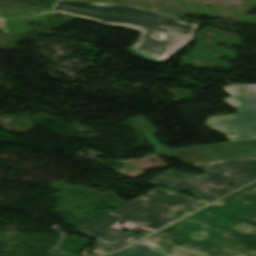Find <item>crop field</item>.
Segmentation results:
<instances>
[{"label": "crop field", "instance_id": "obj_2", "mask_svg": "<svg viewBox=\"0 0 256 256\" xmlns=\"http://www.w3.org/2000/svg\"><path fill=\"white\" fill-rule=\"evenodd\" d=\"M56 11L141 29L144 35L131 50L154 61L167 58L191 38L196 27V24L182 23L173 16L129 5L95 4L75 0H57L52 11L3 16L8 34L11 35L27 31L26 22L43 21L45 16ZM152 33L160 35L161 39H157Z\"/></svg>", "mask_w": 256, "mask_h": 256}, {"label": "crop field", "instance_id": "obj_8", "mask_svg": "<svg viewBox=\"0 0 256 256\" xmlns=\"http://www.w3.org/2000/svg\"><path fill=\"white\" fill-rule=\"evenodd\" d=\"M103 256H165L144 242H137L117 253Z\"/></svg>", "mask_w": 256, "mask_h": 256}, {"label": "crop field", "instance_id": "obj_4", "mask_svg": "<svg viewBox=\"0 0 256 256\" xmlns=\"http://www.w3.org/2000/svg\"><path fill=\"white\" fill-rule=\"evenodd\" d=\"M191 165L207 171L195 176L170 170L149 183L178 193L187 190L209 203L256 179V157Z\"/></svg>", "mask_w": 256, "mask_h": 256}, {"label": "crop field", "instance_id": "obj_3", "mask_svg": "<svg viewBox=\"0 0 256 256\" xmlns=\"http://www.w3.org/2000/svg\"><path fill=\"white\" fill-rule=\"evenodd\" d=\"M202 205L204 204L156 188L76 231L97 239L94 246L112 252L139 239V237L108 229L118 219L122 218L135 224L157 229L176 220L167 217L168 214L180 208L190 212Z\"/></svg>", "mask_w": 256, "mask_h": 256}, {"label": "crop field", "instance_id": "obj_7", "mask_svg": "<svg viewBox=\"0 0 256 256\" xmlns=\"http://www.w3.org/2000/svg\"><path fill=\"white\" fill-rule=\"evenodd\" d=\"M216 161L256 156V139L206 146Z\"/></svg>", "mask_w": 256, "mask_h": 256}, {"label": "crop field", "instance_id": "obj_1", "mask_svg": "<svg viewBox=\"0 0 256 256\" xmlns=\"http://www.w3.org/2000/svg\"><path fill=\"white\" fill-rule=\"evenodd\" d=\"M142 241L167 256H256V182Z\"/></svg>", "mask_w": 256, "mask_h": 256}, {"label": "crop field", "instance_id": "obj_6", "mask_svg": "<svg viewBox=\"0 0 256 256\" xmlns=\"http://www.w3.org/2000/svg\"><path fill=\"white\" fill-rule=\"evenodd\" d=\"M130 122L148 140L149 144L155 147V151L159 155L181 158L187 164L214 161L205 146L177 150L165 147L156 139L154 135L158 132L143 115L130 119Z\"/></svg>", "mask_w": 256, "mask_h": 256}, {"label": "crop field", "instance_id": "obj_5", "mask_svg": "<svg viewBox=\"0 0 256 256\" xmlns=\"http://www.w3.org/2000/svg\"><path fill=\"white\" fill-rule=\"evenodd\" d=\"M222 88L232 95L225 102L238 113L211 117L206 125L226 134L230 141L256 138V85L230 84Z\"/></svg>", "mask_w": 256, "mask_h": 256}]
</instances>
